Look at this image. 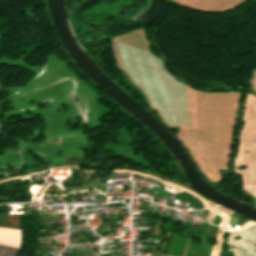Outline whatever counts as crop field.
<instances>
[{
  "mask_svg": "<svg viewBox=\"0 0 256 256\" xmlns=\"http://www.w3.org/2000/svg\"><path fill=\"white\" fill-rule=\"evenodd\" d=\"M18 251V248L0 245V256H16Z\"/></svg>",
  "mask_w": 256,
  "mask_h": 256,
  "instance_id": "ac0d7876",
  "label": "crop field"
},
{
  "mask_svg": "<svg viewBox=\"0 0 256 256\" xmlns=\"http://www.w3.org/2000/svg\"><path fill=\"white\" fill-rule=\"evenodd\" d=\"M0 244L20 248V244H21L20 230L0 227Z\"/></svg>",
  "mask_w": 256,
  "mask_h": 256,
  "instance_id": "8a807250",
  "label": "crop field"
}]
</instances>
